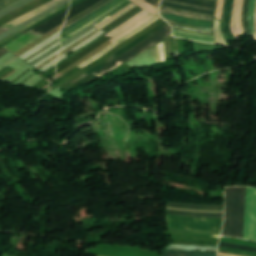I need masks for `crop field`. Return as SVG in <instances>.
I'll use <instances>...</instances> for the list:
<instances>
[{"mask_svg": "<svg viewBox=\"0 0 256 256\" xmlns=\"http://www.w3.org/2000/svg\"><path fill=\"white\" fill-rule=\"evenodd\" d=\"M163 2H167V3H171V4H175V5H181V6H186V7H192V8H198V9H204V10H209V11H213L215 12V10L213 9H205V8H199V7H193V6H187V5H183V4H179V3H175V2H171V1H165L162 0Z\"/></svg>", "mask_w": 256, "mask_h": 256, "instance_id": "d32e631a", "label": "crop field"}, {"mask_svg": "<svg viewBox=\"0 0 256 256\" xmlns=\"http://www.w3.org/2000/svg\"><path fill=\"white\" fill-rule=\"evenodd\" d=\"M236 4H237V0H235L234 2V8H233V13H232V24H231V30L233 32V34L236 36V38H239L235 28H234V21H235V9H236Z\"/></svg>", "mask_w": 256, "mask_h": 256, "instance_id": "750c4746", "label": "crop field"}, {"mask_svg": "<svg viewBox=\"0 0 256 256\" xmlns=\"http://www.w3.org/2000/svg\"><path fill=\"white\" fill-rule=\"evenodd\" d=\"M172 27H176V26H172ZM176 28H182V27H176ZM182 29H188V30H193V31H197V32H202V33H210V32H206V31L195 30V29H189V28H182Z\"/></svg>", "mask_w": 256, "mask_h": 256, "instance_id": "c21b1889", "label": "crop field"}, {"mask_svg": "<svg viewBox=\"0 0 256 256\" xmlns=\"http://www.w3.org/2000/svg\"><path fill=\"white\" fill-rule=\"evenodd\" d=\"M217 1V0H216Z\"/></svg>", "mask_w": 256, "mask_h": 256, "instance_id": "73cf0c24", "label": "crop field"}, {"mask_svg": "<svg viewBox=\"0 0 256 256\" xmlns=\"http://www.w3.org/2000/svg\"><path fill=\"white\" fill-rule=\"evenodd\" d=\"M170 24L179 25V24H175V23H170ZM179 26H184V25H179ZM184 27H189V26H184ZM189 28H194V27H189ZM195 29L207 30V31H211L212 32V30H210V29H202V28H195Z\"/></svg>", "mask_w": 256, "mask_h": 256, "instance_id": "03da06ac", "label": "crop field"}, {"mask_svg": "<svg viewBox=\"0 0 256 256\" xmlns=\"http://www.w3.org/2000/svg\"><path fill=\"white\" fill-rule=\"evenodd\" d=\"M119 0H113L110 3H108L107 5H105L104 7L100 8L99 10H97L96 12L92 13L91 15L87 16L86 18L80 20L79 22L75 23L74 25L68 27L67 29L63 30L61 33V36L64 35L66 32L72 30L73 28L77 27L78 25L84 23L85 21L89 20L90 18L94 17L95 15L99 14L100 12H102L104 9L112 6L113 4H115L116 2H118Z\"/></svg>", "mask_w": 256, "mask_h": 256, "instance_id": "733c2abd", "label": "crop field"}, {"mask_svg": "<svg viewBox=\"0 0 256 256\" xmlns=\"http://www.w3.org/2000/svg\"><path fill=\"white\" fill-rule=\"evenodd\" d=\"M173 35L176 37H179V38L197 40V41H202V42H209V43L214 42V37H212V36L197 34V33H192V32H186V31H181V30L173 29Z\"/></svg>", "mask_w": 256, "mask_h": 256, "instance_id": "d8731c3e", "label": "crop field"}, {"mask_svg": "<svg viewBox=\"0 0 256 256\" xmlns=\"http://www.w3.org/2000/svg\"><path fill=\"white\" fill-rule=\"evenodd\" d=\"M153 16L150 14L147 17L141 19L140 21H138L136 24H134L132 27H130L129 29H127L126 31L122 32L121 34H119L118 36L114 37L113 39H111L110 41H115L118 38L124 36L125 34H127L129 31H131L132 29L140 26L141 24L145 23L146 21H148L150 18H152Z\"/></svg>", "mask_w": 256, "mask_h": 256, "instance_id": "a9b5d70f", "label": "crop field"}, {"mask_svg": "<svg viewBox=\"0 0 256 256\" xmlns=\"http://www.w3.org/2000/svg\"><path fill=\"white\" fill-rule=\"evenodd\" d=\"M244 238L256 240V189L248 188Z\"/></svg>", "mask_w": 256, "mask_h": 256, "instance_id": "f4fd0767", "label": "crop field"}, {"mask_svg": "<svg viewBox=\"0 0 256 256\" xmlns=\"http://www.w3.org/2000/svg\"><path fill=\"white\" fill-rule=\"evenodd\" d=\"M167 214L189 216V217H201V218H223V214H204V213H188L167 210Z\"/></svg>", "mask_w": 256, "mask_h": 256, "instance_id": "22f410ed", "label": "crop field"}, {"mask_svg": "<svg viewBox=\"0 0 256 256\" xmlns=\"http://www.w3.org/2000/svg\"><path fill=\"white\" fill-rule=\"evenodd\" d=\"M249 1L250 0H244L243 5V13H242V26L244 28V31L246 35H252L250 28L248 26V7H249Z\"/></svg>", "mask_w": 256, "mask_h": 256, "instance_id": "bc2a9ffb", "label": "crop field"}, {"mask_svg": "<svg viewBox=\"0 0 256 256\" xmlns=\"http://www.w3.org/2000/svg\"><path fill=\"white\" fill-rule=\"evenodd\" d=\"M242 4L243 0H238L237 9H236V29L239 34H243V28L241 26V13H242Z\"/></svg>", "mask_w": 256, "mask_h": 256, "instance_id": "92a150f3", "label": "crop field"}, {"mask_svg": "<svg viewBox=\"0 0 256 256\" xmlns=\"http://www.w3.org/2000/svg\"><path fill=\"white\" fill-rule=\"evenodd\" d=\"M219 246H222V247H230V248H237V249H242V250H246V251H250V252L256 253V248L238 246V245H233V244H228V243H222V242H220Z\"/></svg>", "mask_w": 256, "mask_h": 256, "instance_id": "ae1a2a85", "label": "crop field"}, {"mask_svg": "<svg viewBox=\"0 0 256 256\" xmlns=\"http://www.w3.org/2000/svg\"><path fill=\"white\" fill-rule=\"evenodd\" d=\"M67 11L33 28L32 32L47 34L54 28L64 23Z\"/></svg>", "mask_w": 256, "mask_h": 256, "instance_id": "e52e79f7", "label": "crop field"}, {"mask_svg": "<svg viewBox=\"0 0 256 256\" xmlns=\"http://www.w3.org/2000/svg\"><path fill=\"white\" fill-rule=\"evenodd\" d=\"M227 1H228V0H225V2H224L221 21H224V19H225L226 8H227Z\"/></svg>", "mask_w": 256, "mask_h": 256, "instance_id": "e1f06a70", "label": "crop field"}, {"mask_svg": "<svg viewBox=\"0 0 256 256\" xmlns=\"http://www.w3.org/2000/svg\"><path fill=\"white\" fill-rule=\"evenodd\" d=\"M67 6H69V3H68V4H66V5H64V6H62V7H60L59 9H57V10H55V11H53V12H51V13L47 14L46 16H44V17H42V18L38 19L37 21H35V22H33V23L29 24L28 26H26V27L22 28L19 32L26 30L27 28H29V27L33 26L34 24H36V23H38V22L42 21L43 19H45V18L49 17L50 15H52V14H54V13H56V12L60 11L61 9L65 8V7H67ZM19 32H17V33H15V34H13V35H12V36H10L9 38H7V39H5L4 41H2V42L0 43V45H1V44H3L4 42L8 41V40H9V39H11L12 37H14V36H15L16 34H18Z\"/></svg>", "mask_w": 256, "mask_h": 256, "instance_id": "dafd665d", "label": "crop field"}, {"mask_svg": "<svg viewBox=\"0 0 256 256\" xmlns=\"http://www.w3.org/2000/svg\"><path fill=\"white\" fill-rule=\"evenodd\" d=\"M255 8H256V0H251L250 8H249V22H250L251 31L256 39V32L254 28Z\"/></svg>", "mask_w": 256, "mask_h": 256, "instance_id": "214f88e0", "label": "crop field"}, {"mask_svg": "<svg viewBox=\"0 0 256 256\" xmlns=\"http://www.w3.org/2000/svg\"><path fill=\"white\" fill-rule=\"evenodd\" d=\"M122 1H124V0L119 1V2L116 3L115 5H113L112 7H110L109 9H107L106 11H104L103 13H101V14L97 15L96 17H94L93 19H95V18L101 16L102 14L106 13V12L109 11L110 9H112V8H114L115 6H117L118 4H120ZM93 19H91V20L85 22L84 24L80 25V26L77 27L76 29H74V30H72L71 32L67 33L66 35H64L63 37H61V39H63V38L66 37L67 35L71 34V33L74 32L75 30L79 29V28L82 27L83 25L87 24L88 22L92 21Z\"/></svg>", "mask_w": 256, "mask_h": 256, "instance_id": "d3111659", "label": "crop field"}, {"mask_svg": "<svg viewBox=\"0 0 256 256\" xmlns=\"http://www.w3.org/2000/svg\"><path fill=\"white\" fill-rule=\"evenodd\" d=\"M219 251L228 252V253H232V254H238V255H244V256H256V254H254V253L243 252V251L232 250V249L221 248V247H219Z\"/></svg>", "mask_w": 256, "mask_h": 256, "instance_id": "eef30255", "label": "crop field"}, {"mask_svg": "<svg viewBox=\"0 0 256 256\" xmlns=\"http://www.w3.org/2000/svg\"><path fill=\"white\" fill-rule=\"evenodd\" d=\"M167 207L200 209V210H224V206H218V205H196V204H181V203H168Z\"/></svg>", "mask_w": 256, "mask_h": 256, "instance_id": "5a996713", "label": "crop field"}, {"mask_svg": "<svg viewBox=\"0 0 256 256\" xmlns=\"http://www.w3.org/2000/svg\"><path fill=\"white\" fill-rule=\"evenodd\" d=\"M144 0H135L133 1L135 4H137L138 6L142 7L143 9L153 13V14H157V8L151 6V5H148L146 3L143 2Z\"/></svg>", "mask_w": 256, "mask_h": 256, "instance_id": "730fd06b", "label": "crop field"}, {"mask_svg": "<svg viewBox=\"0 0 256 256\" xmlns=\"http://www.w3.org/2000/svg\"><path fill=\"white\" fill-rule=\"evenodd\" d=\"M161 5H163V6H168V7H172V8H177V9H181V10L192 11V12H197V13H202V14H208V15H213V16H215V13H213V12H208V11H204V10H198V9L180 7V6H175V5H171V4H167V3H163V2L161 3Z\"/></svg>", "mask_w": 256, "mask_h": 256, "instance_id": "4177f3b9", "label": "crop field"}, {"mask_svg": "<svg viewBox=\"0 0 256 256\" xmlns=\"http://www.w3.org/2000/svg\"><path fill=\"white\" fill-rule=\"evenodd\" d=\"M152 51V54H153V57L155 59V62H160V57H159V53H158V50H157V47H154L153 49H151Z\"/></svg>", "mask_w": 256, "mask_h": 256, "instance_id": "120bbe31", "label": "crop field"}, {"mask_svg": "<svg viewBox=\"0 0 256 256\" xmlns=\"http://www.w3.org/2000/svg\"><path fill=\"white\" fill-rule=\"evenodd\" d=\"M167 224L195 229H221L223 219H196L167 215Z\"/></svg>", "mask_w": 256, "mask_h": 256, "instance_id": "412701ff", "label": "crop field"}, {"mask_svg": "<svg viewBox=\"0 0 256 256\" xmlns=\"http://www.w3.org/2000/svg\"><path fill=\"white\" fill-rule=\"evenodd\" d=\"M133 1V0H132Z\"/></svg>", "mask_w": 256, "mask_h": 256, "instance_id": "89e229c0", "label": "crop field"}, {"mask_svg": "<svg viewBox=\"0 0 256 256\" xmlns=\"http://www.w3.org/2000/svg\"><path fill=\"white\" fill-rule=\"evenodd\" d=\"M219 256H235V255H229V254H222V253H219Z\"/></svg>", "mask_w": 256, "mask_h": 256, "instance_id": "5d738f31", "label": "crop field"}, {"mask_svg": "<svg viewBox=\"0 0 256 256\" xmlns=\"http://www.w3.org/2000/svg\"><path fill=\"white\" fill-rule=\"evenodd\" d=\"M246 187L225 190L226 211L222 236L242 238Z\"/></svg>", "mask_w": 256, "mask_h": 256, "instance_id": "8a807250", "label": "crop field"}, {"mask_svg": "<svg viewBox=\"0 0 256 256\" xmlns=\"http://www.w3.org/2000/svg\"><path fill=\"white\" fill-rule=\"evenodd\" d=\"M77 1H79V0H75V1L71 2V4H73V3L77 2Z\"/></svg>", "mask_w": 256, "mask_h": 256, "instance_id": "d23c7cc5", "label": "crop field"}, {"mask_svg": "<svg viewBox=\"0 0 256 256\" xmlns=\"http://www.w3.org/2000/svg\"><path fill=\"white\" fill-rule=\"evenodd\" d=\"M222 4H223V0H218L216 18L219 20L221 18Z\"/></svg>", "mask_w": 256, "mask_h": 256, "instance_id": "1d83c4d3", "label": "crop field"}, {"mask_svg": "<svg viewBox=\"0 0 256 256\" xmlns=\"http://www.w3.org/2000/svg\"><path fill=\"white\" fill-rule=\"evenodd\" d=\"M141 11H142V9H140V10H138L137 12L133 13V14L130 15L128 18H126L124 21H122L121 23H119L117 26H119V25L122 24L123 22L129 20L130 18L134 17L135 15H137V14H138L139 12H141ZM117 26H115L114 28H116ZM114 28H112L111 30H113ZM111 30H109L108 32H110ZM108 32H107V33H108ZM107 33H105V34H107ZM105 34H104V35H105Z\"/></svg>", "mask_w": 256, "mask_h": 256, "instance_id": "5866460e", "label": "crop field"}, {"mask_svg": "<svg viewBox=\"0 0 256 256\" xmlns=\"http://www.w3.org/2000/svg\"><path fill=\"white\" fill-rule=\"evenodd\" d=\"M150 13L146 12V11H142L141 13H139L137 16H135L134 18H132L131 20L127 21L126 23H124L123 25L117 27L116 29H114L113 31H111L110 33H108L106 36H111L114 37L117 34L121 33L122 31H124L126 28H128L129 26L133 25L135 22H137L139 19L143 18L144 16L148 15Z\"/></svg>", "mask_w": 256, "mask_h": 256, "instance_id": "28ad6ade", "label": "crop field"}, {"mask_svg": "<svg viewBox=\"0 0 256 256\" xmlns=\"http://www.w3.org/2000/svg\"><path fill=\"white\" fill-rule=\"evenodd\" d=\"M111 0H103L100 3H98L97 5L93 6L92 8L88 9L87 11L81 13L80 15L76 16L75 18L71 19L70 21L66 22L65 27L75 23L76 21L86 17L87 15H89L90 13L94 12L95 10L99 9L100 7L104 6L105 4H107L108 2H110ZM64 27V28H65Z\"/></svg>", "mask_w": 256, "mask_h": 256, "instance_id": "5142ce71", "label": "crop field"}, {"mask_svg": "<svg viewBox=\"0 0 256 256\" xmlns=\"http://www.w3.org/2000/svg\"><path fill=\"white\" fill-rule=\"evenodd\" d=\"M255 28H256V18H255Z\"/></svg>", "mask_w": 256, "mask_h": 256, "instance_id": "425ffa30", "label": "crop field"}, {"mask_svg": "<svg viewBox=\"0 0 256 256\" xmlns=\"http://www.w3.org/2000/svg\"><path fill=\"white\" fill-rule=\"evenodd\" d=\"M58 41H59V39H57L56 41H54L53 43H51V44H50V45H48L47 47H45V48L41 49L40 51H38L37 53H35L32 57H34V56H36L37 54L41 53L42 51L46 50L47 48H49L50 46L54 45V44H55L56 42H58ZM32 57H30V58L26 59L25 61H27V60L31 59Z\"/></svg>", "mask_w": 256, "mask_h": 256, "instance_id": "028f5c9d", "label": "crop field"}, {"mask_svg": "<svg viewBox=\"0 0 256 256\" xmlns=\"http://www.w3.org/2000/svg\"><path fill=\"white\" fill-rule=\"evenodd\" d=\"M135 6V5H134ZM134 6H132L131 8H133ZM131 8H129L128 10H126L125 12H123L122 14H120L119 16L115 17L114 19H112L111 21H109L108 23H106L105 25H103L102 27H100L99 29L105 27L106 25L110 24L111 22H113L114 20H116L118 17H120L121 15H123L124 13H126L127 11H129Z\"/></svg>", "mask_w": 256, "mask_h": 256, "instance_id": "0bd39190", "label": "crop field"}, {"mask_svg": "<svg viewBox=\"0 0 256 256\" xmlns=\"http://www.w3.org/2000/svg\"><path fill=\"white\" fill-rule=\"evenodd\" d=\"M8 51L6 50V49H1L0 50V58L3 56V55H5L6 53H7Z\"/></svg>", "mask_w": 256, "mask_h": 256, "instance_id": "b54c1fbb", "label": "crop field"}, {"mask_svg": "<svg viewBox=\"0 0 256 256\" xmlns=\"http://www.w3.org/2000/svg\"><path fill=\"white\" fill-rule=\"evenodd\" d=\"M131 2H126L123 5H121L120 7L116 8L115 10H113L112 12L108 13L107 15H105L104 17L100 18L98 21L95 22V26L99 25L100 23H102L103 21L107 20L108 18L114 16L115 14H117L119 11H121L123 8H125L126 6H128Z\"/></svg>", "mask_w": 256, "mask_h": 256, "instance_id": "00972430", "label": "crop field"}, {"mask_svg": "<svg viewBox=\"0 0 256 256\" xmlns=\"http://www.w3.org/2000/svg\"><path fill=\"white\" fill-rule=\"evenodd\" d=\"M10 256V255H9Z\"/></svg>", "mask_w": 256, "mask_h": 256, "instance_id": "25e5ab78", "label": "crop field"}, {"mask_svg": "<svg viewBox=\"0 0 256 256\" xmlns=\"http://www.w3.org/2000/svg\"><path fill=\"white\" fill-rule=\"evenodd\" d=\"M145 2H147V3H149V4H151V5H153V6L158 8V3L159 2L156 1V0H145Z\"/></svg>", "mask_w": 256, "mask_h": 256, "instance_id": "b80d0937", "label": "crop field"}, {"mask_svg": "<svg viewBox=\"0 0 256 256\" xmlns=\"http://www.w3.org/2000/svg\"><path fill=\"white\" fill-rule=\"evenodd\" d=\"M183 4L196 5L216 9L217 2L210 0H171Z\"/></svg>", "mask_w": 256, "mask_h": 256, "instance_id": "cbeb9de0", "label": "crop field"}, {"mask_svg": "<svg viewBox=\"0 0 256 256\" xmlns=\"http://www.w3.org/2000/svg\"><path fill=\"white\" fill-rule=\"evenodd\" d=\"M160 12L170 14V15L200 19V20L211 21V22H213L214 18H215L213 16L190 13V12L180 11V10L167 8V7H163V6H161ZM162 13H160V14L163 16V18H165L167 21H170V22H175V23H180V24L195 26V27L210 28V29H212V27H213V23H211V22L175 17V16H170V15H166V14H162Z\"/></svg>", "mask_w": 256, "mask_h": 256, "instance_id": "34b2d1b8", "label": "crop field"}, {"mask_svg": "<svg viewBox=\"0 0 256 256\" xmlns=\"http://www.w3.org/2000/svg\"><path fill=\"white\" fill-rule=\"evenodd\" d=\"M17 1H19V0H5V1L1 2L0 3V10L10 6L11 4H13V3H15Z\"/></svg>", "mask_w": 256, "mask_h": 256, "instance_id": "bd1437ed", "label": "crop field"}, {"mask_svg": "<svg viewBox=\"0 0 256 256\" xmlns=\"http://www.w3.org/2000/svg\"><path fill=\"white\" fill-rule=\"evenodd\" d=\"M159 17V15L157 14L155 17H153L151 20H149L148 22H146L145 24L141 25L140 27H138L137 29L131 31L130 33H128L126 36H124L123 38L113 42L111 45H109L108 47H106L104 50H102L100 53H98L97 55L93 56L92 58L86 60L85 62H83L82 64H80L78 67L81 69L84 66H86L87 64L97 60L100 56H102L103 54H105L106 52H108L109 50H111L112 48L116 47L117 45H119L120 43H122L123 41L127 40L128 38H130L131 36H133L134 34L138 33L139 31L143 30L144 28H146L147 26H149L151 23H153L154 21H156Z\"/></svg>", "mask_w": 256, "mask_h": 256, "instance_id": "dd49c442", "label": "crop field"}, {"mask_svg": "<svg viewBox=\"0 0 256 256\" xmlns=\"http://www.w3.org/2000/svg\"><path fill=\"white\" fill-rule=\"evenodd\" d=\"M233 1L234 0H229L228 2V8H227V14H226V20H225V32L230 38V40L233 43H235L237 40L234 38L233 34L230 31V21H231V13L233 8Z\"/></svg>", "mask_w": 256, "mask_h": 256, "instance_id": "d9b57169", "label": "crop field"}, {"mask_svg": "<svg viewBox=\"0 0 256 256\" xmlns=\"http://www.w3.org/2000/svg\"><path fill=\"white\" fill-rule=\"evenodd\" d=\"M132 5H134V4H133V3L130 4V5H129L128 7H126L124 10L128 9V8L131 7ZM124 10H122L121 12H123ZM121 12H119L118 14H120ZM118 14H117V15H118ZM117 15H115V16H117ZM115 16H114V17H115ZM114 17H112V18H114ZM112 18L108 19L107 21H105V22L102 23L101 25L105 24L106 22H108V21L111 20ZM101 25H100V26H101ZM100 26H98V27H100Z\"/></svg>", "mask_w": 256, "mask_h": 256, "instance_id": "c035e120", "label": "crop field"}, {"mask_svg": "<svg viewBox=\"0 0 256 256\" xmlns=\"http://www.w3.org/2000/svg\"><path fill=\"white\" fill-rule=\"evenodd\" d=\"M100 1L101 0H85V1L81 2L80 4L70 8L67 20L75 17L76 15H78L79 13L84 11L85 9L95 5L96 3L100 2Z\"/></svg>", "mask_w": 256, "mask_h": 256, "instance_id": "3316defc", "label": "crop field"}, {"mask_svg": "<svg viewBox=\"0 0 256 256\" xmlns=\"http://www.w3.org/2000/svg\"><path fill=\"white\" fill-rule=\"evenodd\" d=\"M171 28L167 25L155 34L151 35L145 41L131 49L130 51L124 53L123 55L119 56L115 61L110 63L109 65L93 72L100 78L103 77L105 74L113 71L117 67H119L124 62L134 58L135 56L139 55L143 51L147 50L148 48L158 44L159 42L163 41L164 39L170 37Z\"/></svg>", "mask_w": 256, "mask_h": 256, "instance_id": "ac0d7876", "label": "crop field"}, {"mask_svg": "<svg viewBox=\"0 0 256 256\" xmlns=\"http://www.w3.org/2000/svg\"><path fill=\"white\" fill-rule=\"evenodd\" d=\"M162 256H216V253L165 250Z\"/></svg>", "mask_w": 256, "mask_h": 256, "instance_id": "d1516ede", "label": "crop field"}, {"mask_svg": "<svg viewBox=\"0 0 256 256\" xmlns=\"http://www.w3.org/2000/svg\"><path fill=\"white\" fill-rule=\"evenodd\" d=\"M166 249H174V250H197V251H216L217 247H201V246H186V245H169Z\"/></svg>", "mask_w": 256, "mask_h": 256, "instance_id": "4a817a6b", "label": "crop field"}]
</instances>
